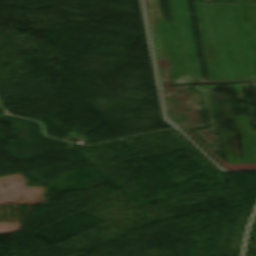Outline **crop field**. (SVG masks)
I'll list each match as a JSON object with an SVG mask.
<instances>
[{"label":"crop field","mask_w":256,"mask_h":256,"mask_svg":"<svg viewBox=\"0 0 256 256\" xmlns=\"http://www.w3.org/2000/svg\"><path fill=\"white\" fill-rule=\"evenodd\" d=\"M147 1L151 31L156 52L158 68L162 82V95L164 98L168 118L211 157H213L224 168L230 170H247L256 169V165H228L208 146L199 140L188 129L200 127L199 119L194 102L193 92L181 87H168L172 83L170 66L168 62L160 60L156 33L152 21L149 0ZM196 2H256V0H196Z\"/></svg>","instance_id":"obj_1"}]
</instances>
